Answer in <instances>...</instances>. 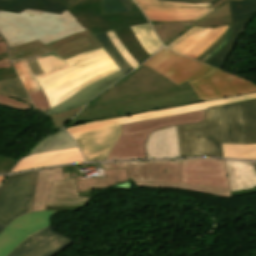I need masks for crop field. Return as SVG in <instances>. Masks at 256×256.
Wrapping results in <instances>:
<instances>
[{"label":"crop field","mask_w":256,"mask_h":256,"mask_svg":"<svg viewBox=\"0 0 256 256\" xmlns=\"http://www.w3.org/2000/svg\"><path fill=\"white\" fill-rule=\"evenodd\" d=\"M5 228V226L0 224V232Z\"/></svg>","instance_id":"crop-field-57"},{"label":"crop field","mask_w":256,"mask_h":256,"mask_svg":"<svg viewBox=\"0 0 256 256\" xmlns=\"http://www.w3.org/2000/svg\"><path fill=\"white\" fill-rule=\"evenodd\" d=\"M80 161L84 159L78 148L24 156L12 172Z\"/></svg>","instance_id":"crop-field-17"},{"label":"crop field","mask_w":256,"mask_h":256,"mask_svg":"<svg viewBox=\"0 0 256 256\" xmlns=\"http://www.w3.org/2000/svg\"><path fill=\"white\" fill-rule=\"evenodd\" d=\"M35 61L37 62L43 73L66 64L63 59H61L54 53H49L41 57L35 58Z\"/></svg>","instance_id":"crop-field-39"},{"label":"crop field","mask_w":256,"mask_h":256,"mask_svg":"<svg viewBox=\"0 0 256 256\" xmlns=\"http://www.w3.org/2000/svg\"><path fill=\"white\" fill-rule=\"evenodd\" d=\"M13 66L8 58V49L5 40L0 41V69Z\"/></svg>","instance_id":"crop-field-47"},{"label":"crop field","mask_w":256,"mask_h":256,"mask_svg":"<svg viewBox=\"0 0 256 256\" xmlns=\"http://www.w3.org/2000/svg\"><path fill=\"white\" fill-rule=\"evenodd\" d=\"M33 75H38V74H42V71L40 70V68L38 67V65L36 64V62L34 61V59H30V60H26Z\"/></svg>","instance_id":"crop-field-50"},{"label":"crop field","mask_w":256,"mask_h":256,"mask_svg":"<svg viewBox=\"0 0 256 256\" xmlns=\"http://www.w3.org/2000/svg\"><path fill=\"white\" fill-rule=\"evenodd\" d=\"M232 38L227 46L207 62V64L222 69L235 42L242 35L253 15L256 13V0L231 1Z\"/></svg>","instance_id":"crop-field-14"},{"label":"crop field","mask_w":256,"mask_h":256,"mask_svg":"<svg viewBox=\"0 0 256 256\" xmlns=\"http://www.w3.org/2000/svg\"><path fill=\"white\" fill-rule=\"evenodd\" d=\"M86 30L66 10L60 15L30 10L20 14L0 12V32L9 48L36 39L46 45Z\"/></svg>","instance_id":"crop-field-4"},{"label":"crop field","mask_w":256,"mask_h":256,"mask_svg":"<svg viewBox=\"0 0 256 256\" xmlns=\"http://www.w3.org/2000/svg\"><path fill=\"white\" fill-rule=\"evenodd\" d=\"M62 179L61 167L39 171L32 212L45 210L51 182Z\"/></svg>","instance_id":"crop-field-23"},{"label":"crop field","mask_w":256,"mask_h":256,"mask_svg":"<svg viewBox=\"0 0 256 256\" xmlns=\"http://www.w3.org/2000/svg\"><path fill=\"white\" fill-rule=\"evenodd\" d=\"M28 94L36 109L42 110L44 112L50 110V106L42 90L30 92Z\"/></svg>","instance_id":"crop-field-44"},{"label":"crop field","mask_w":256,"mask_h":256,"mask_svg":"<svg viewBox=\"0 0 256 256\" xmlns=\"http://www.w3.org/2000/svg\"><path fill=\"white\" fill-rule=\"evenodd\" d=\"M148 158L179 157L176 126L152 133L146 143Z\"/></svg>","instance_id":"crop-field-19"},{"label":"crop field","mask_w":256,"mask_h":256,"mask_svg":"<svg viewBox=\"0 0 256 256\" xmlns=\"http://www.w3.org/2000/svg\"><path fill=\"white\" fill-rule=\"evenodd\" d=\"M13 65L23 83V85L25 86L27 92H30V91H34V90H39L40 87L38 86V84L36 83L35 80L41 78V77H44L48 74H51L55 71H58L62 68H65L67 66H69L68 64L64 65V66H61L59 68H56L50 72H47L45 74H42V75H38V76H35L33 77L27 63L25 60H18V61H14L13 62Z\"/></svg>","instance_id":"crop-field-32"},{"label":"crop field","mask_w":256,"mask_h":256,"mask_svg":"<svg viewBox=\"0 0 256 256\" xmlns=\"http://www.w3.org/2000/svg\"><path fill=\"white\" fill-rule=\"evenodd\" d=\"M150 22H171L199 20L213 9L180 8L138 4Z\"/></svg>","instance_id":"crop-field-16"},{"label":"crop field","mask_w":256,"mask_h":256,"mask_svg":"<svg viewBox=\"0 0 256 256\" xmlns=\"http://www.w3.org/2000/svg\"><path fill=\"white\" fill-rule=\"evenodd\" d=\"M38 171L10 175L0 186V223L7 226L14 218L29 213Z\"/></svg>","instance_id":"crop-field-8"},{"label":"crop field","mask_w":256,"mask_h":256,"mask_svg":"<svg viewBox=\"0 0 256 256\" xmlns=\"http://www.w3.org/2000/svg\"><path fill=\"white\" fill-rule=\"evenodd\" d=\"M6 176H0V183L3 181V179L5 178Z\"/></svg>","instance_id":"crop-field-56"},{"label":"crop field","mask_w":256,"mask_h":256,"mask_svg":"<svg viewBox=\"0 0 256 256\" xmlns=\"http://www.w3.org/2000/svg\"><path fill=\"white\" fill-rule=\"evenodd\" d=\"M48 52L52 51L36 40L29 44L10 49V59L11 61L18 59H29Z\"/></svg>","instance_id":"crop-field-34"},{"label":"crop field","mask_w":256,"mask_h":256,"mask_svg":"<svg viewBox=\"0 0 256 256\" xmlns=\"http://www.w3.org/2000/svg\"><path fill=\"white\" fill-rule=\"evenodd\" d=\"M197 21L191 22H171V23H151L153 29L161 39L164 46L169 44L181 33L194 26ZM182 35V34H181Z\"/></svg>","instance_id":"crop-field-29"},{"label":"crop field","mask_w":256,"mask_h":256,"mask_svg":"<svg viewBox=\"0 0 256 256\" xmlns=\"http://www.w3.org/2000/svg\"><path fill=\"white\" fill-rule=\"evenodd\" d=\"M59 211H43L23 215L0 233V256H7L31 233L50 224L49 219Z\"/></svg>","instance_id":"crop-field-11"},{"label":"crop field","mask_w":256,"mask_h":256,"mask_svg":"<svg viewBox=\"0 0 256 256\" xmlns=\"http://www.w3.org/2000/svg\"><path fill=\"white\" fill-rule=\"evenodd\" d=\"M102 166L104 168H122V167H126L125 166V162H120V163H105L102 164Z\"/></svg>","instance_id":"crop-field-53"},{"label":"crop field","mask_w":256,"mask_h":256,"mask_svg":"<svg viewBox=\"0 0 256 256\" xmlns=\"http://www.w3.org/2000/svg\"><path fill=\"white\" fill-rule=\"evenodd\" d=\"M182 184L205 185L229 189L223 160H180Z\"/></svg>","instance_id":"crop-field-10"},{"label":"crop field","mask_w":256,"mask_h":256,"mask_svg":"<svg viewBox=\"0 0 256 256\" xmlns=\"http://www.w3.org/2000/svg\"><path fill=\"white\" fill-rule=\"evenodd\" d=\"M131 29L150 56L163 48V45L157 39L149 23L132 26Z\"/></svg>","instance_id":"crop-field-31"},{"label":"crop field","mask_w":256,"mask_h":256,"mask_svg":"<svg viewBox=\"0 0 256 256\" xmlns=\"http://www.w3.org/2000/svg\"><path fill=\"white\" fill-rule=\"evenodd\" d=\"M125 76L121 71L108 75L98 81H95L81 91L76 93L71 98L65 100L63 103L56 105L51 108V111L46 112L49 114L61 113L78 106L84 105L94 98L97 94L102 92L104 89L115 83L117 80Z\"/></svg>","instance_id":"crop-field-18"},{"label":"crop field","mask_w":256,"mask_h":256,"mask_svg":"<svg viewBox=\"0 0 256 256\" xmlns=\"http://www.w3.org/2000/svg\"><path fill=\"white\" fill-rule=\"evenodd\" d=\"M17 160L0 155V173H9Z\"/></svg>","instance_id":"crop-field-48"},{"label":"crop field","mask_w":256,"mask_h":256,"mask_svg":"<svg viewBox=\"0 0 256 256\" xmlns=\"http://www.w3.org/2000/svg\"><path fill=\"white\" fill-rule=\"evenodd\" d=\"M241 105L246 144H256V100L242 102Z\"/></svg>","instance_id":"crop-field-30"},{"label":"crop field","mask_w":256,"mask_h":256,"mask_svg":"<svg viewBox=\"0 0 256 256\" xmlns=\"http://www.w3.org/2000/svg\"><path fill=\"white\" fill-rule=\"evenodd\" d=\"M66 8L52 0H0V11L19 13L25 9L60 14Z\"/></svg>","instance_id":"crop-field-22"},{"label":"crop field","mask_w":256,"mask_h":256,"mask_svg":"<svg viewBox=\"0 0 256 256\" xmlns=\"http://www.w3.org/2000/svg\"><path fill=\"white\" fill-rule=\"evenodd\" d=\"M206 28L194 26L188 32L183 34L181 37L170 43L167 47L175 52H179L191 41H193L197 36H199Z\"/></svg>","instance_id":"crop-field-38"},{"label":"crop field","mask_w":256,"mask_h":256,"mask_svg":"<svg viewBox=\"0 0 256 256\" xmlns=\"http://www.w3.org/2000/svg\"><path fill=\"white\" fill-rule=\"evenodd\" d=\"M150 183L181 184L179 160L150 161Z\"/></svg>","instance_id":"crop-field-24"},{"label":"crop field","mask_w":256,"mask_h":256,"mask_svg":"<svg viewBox=\"0 0 256 256\" xmlns=\"http://www.w3.org/2000/svg\"><path fill=\"white\" fill-rule=\"evenodd\" d=\"M103 171L106 174V177L101 179L96 177L85 180H81L82 177L76 178L79 192L101 189L116 184V182L128 180L125 169H110ZM103 181H105V183H103ZM85 183H87V185H85Z\"/></svg>","instance_id":"crop-field-25"},{"label":"crop field","mask_w":256,"mask_h":256,"mask_svg":"<svg viewBox=\"0 0 256 256\" xmlns=\"http://www.w3.org/2000/svg\"><path fill=\"white\" fill-rule=\"evenodd\" d=\"M17 76L13 67L0 70V79Z\"/></svg>","instance_id":"crop-field-49"},{"label":"crop field","mask_w":256,"mask_h":256,"mask_svg":"<svg viewBox=\"0 0 256 256\" xmlns=\"http://www.w3.org/2000/svg\"><path fill=\"white\" fill-rule=\"evenodd\" d=\"M209 7L216 9L204 18H202L201 20H199L196 23L197 26L210 28L231 23L228 0H217L214 4H212Z\"/></svg>","instance_id":"crop-field-28"},{"label":"crop field","mask_w":256,"mask_h":256,"mask_svg":"<svg viewBox=\"0 0 256 256\" xmlns=\"http://www.w3.org/2000/svg\"><path fill=\"white\" fill-rule=\"evenodd\" d=\"M180 157H223L222 143L245 144L240 103L207 110L204 122L177 126Z\"/></svg>","instance_id":"crop-field-3"},{"label":"crop field","mask_w":256,"mask_h":256,"mask_svg":"<svg viewBox=\"0 0 256 256\" xmlns=\"http://www.w3.org/2000/svg\"><path fill=\"white\" fill-rule=\"evenodd\" d=\"M0 105L18 109V110L33 109L32 106H30L20 100H17L15 98H11V97L2 96V95H0Z\"/></svg>","instance_id":"crop-field-45"},{"label":"crop field","mask_w":256,"mask_h":256,"mask_svg":"<svg viewBox=\"0 0 256 256\" xmlns=\"http://www.w3.org/2000/svg\"><path fill=\"white\" fill-rule=\"evenodd\" d=\"M65 61L71 66L37 80L49 102L87 79L116 67L103 48L73 56Z\"/></svg>","instance_id":"crop-field-6"},{"label":"crop field","mask_w":256,"mask_h":256,"mask_svg":"<svg viewBox=\"0 0 256 256\" xmlns=\"http://www.w3.org/2000/svg\"><path fill=\"white\" fill-rule=\"evenodd\" d=\"M108 36L114 43V45L117 47V49L120 51V53L123 55V57L127 60V62L132 66L134 69L139 64L136 62V60L126 51V49L123 47L113 30L107 31Z\"/></svg>","instance_id":"crop-field-43"},{"label":"crop field","mask_w":256,"mask_h":256,"mask_svg":"<svg viewBox=\"0 0 256 256\" xmlns=\"http://www.w3.org/2000/svg\"><path fill=\"white\" fill-rule=\"evenodd\" d=\"M62 169H63V172H64V177H65V179H69L70 176H69L68 170H74L73 166H71V167H65V168H62Z\"/></svg>","instance_id":"crop-field-55"},{"label":"crop field","mask_w":256,"mask_h":256,"mask_svg":"<svg viewBox=\"0 0 256 256\" xmlns=\"http://www.w3.org/2000/svg\"><path fill=\"white\" fill-rule=\"evenodd\" d=\"M163 1L207 4V3H213V2L216 1V0H163Z\"/></svg>","instance_id":"crop-field-51"},{"label":"crop field","mask_w":256,"mask_h":256,"mask_svg":"<svg viewBox=\"0 0 256 256\" xmlns=\"http://www.w3.org/2000/svg\"><path fill=\"white\" fill-rule=\"evenodd\" d=\"M117 70H119L118 67H116V68H114V69H112V70H109V71H107V72H105V73H103V74H100V75H98V76H96V77H94V78H92V79H90V80H88V81H86V82L80 84L79 86H77V87L73 88L72 90H70L68 93H66V94H65L64 96H62L61 98H59V99H57V100H55V101H53V102H50V105L53 106V105H56V104L61 103V102L64 101L65 99H67V98L71 97L72 95H74L76 92H78L80 89H82V88H83L84 86H86L87 84H89V83H91V82H93V81H95V80H97V79H100V78H102V77H104V76H106V75H108V74H111V73H113V72H115V71H117ZM87 86H88V85H87Z\"/></svg>","instance_id":"crop-field-42"},{"label":"crop field","mask_w":256,"mask_h":256,"mask_svg":"<svg viewBox=\"0 0 256 256\" xmlns=\"http://www.w3.org/2000/svg\"><path fill=\"white\" fill-rule=\"evenodd\" d=\"M231 26L232 24H230L229 28L205 52L196 58V60L206 63L214 54L225 47L231 37Z\"/></svg>","instance_id":"crop-field-37"},{"label":"crop field","mask_w":256,"mask_h":256,"mask_svg":"<svg viewBox=\"0 0 256 256\" xmlns=\"http://www.w3.org/2000/svg\"><path fill=\"white\" fill-rule=\"evenodd\" d=\"M224 157L256 159V145L223 144Z\"/></svg>","instance_id":"crop-field-36"},{"label":"crop field","mask_w":256,"mask_h":256,"mask_svg":"<svg viewBox=\"0 0 256 256\" xmlns=\"http://www.w3.org/2000/svg\"><path fill=\"white\" fill-rule=\"evenodd\" d=\"M129 179L139 187L165 188L189 190L198 193L222 196L231 198L230 190L204 187V186H185V185H167V184H149L150 167L149 161L144 162H126Z\"/></svg>","instance_id":"crop-field-15"},{"label":"crop field","mask_w":256,"mask_h":256,"mask_svg":"<svg viewBox=\"0 0 256 256\" xmlns=\"http://www.w3.org/2000/svg\"><path fill=\"white\" fill-rule=\"evenodd\" d=\"M92 199L78 197L74 179L51 184L47 206L86 205Z\"/></svg>","instance_id":"crop-field-21"},{"label":"crop field","mask_w":256,"mask_h":256,"mask_svg":"<svg viewBox=\"0 0 256 256\" xmlns=\"http://www.w3.org/2000/svg\"><path fill=\"white\" fill-rule=\"evenodd\" d=\"M0 40H3V37H2V36L0 37Z\"/></svg>","instance_id":"crop-field-58"},{"label":"crop field","mask_w":256,"mask_h":256,"mask_svg":"<svg viewBox=\"0 0 256 256\" xmlns=\"http://www.w3.org/2000/svg\"><path fill=\"white\" fill-rule=\"evenodd\" d=\"M188 82L179 87L154 71L138 67L99 95L70 121L78 124L198 102Z\"/></svg>","instance_id":"crop-field-1"},{"label":"crop field","mask_w":256,"mask_h":256,"mask_svg":"<svg viewBox=\"0 0 256 256\" xmlns=\"http://www.w3.org/2000/svg\"><path fill=\"white\" fill-rule=\"evenodd\" d=\"M255 98H256V93H250L245 95L223 98L219 100L206 101L202 103L199 102V103L182 105V106H177V107L163 109V110L139 113V114H134V115L125 116V117L86 123V124L78 125L75 127L67 128L66 130H68L70 134H72V133H77V132H82V131H87L92 129L104 128V127L113 126L117 124L141 121V120L162 117L167 115L182 114V113L196 111L200 109H207V107H212L214 105L227 104L231 102L250 100Z\"/></svg>","instance_id":"crop-field-9"},{"label":"crop field","mask_w":256,"mask_h":256,"mask_svg":"<svg viewBox=\"0 0 256 256\" xmlns=\"http://www.w3.org/2000/svg\"><path fill=\"white\" fill-rule=\"evenodd\" d=\"M104 13L131 11L128 0H101Z\"/></svg>","instance_id":"crop-field-40"},{"label":"crop field","mask_w":256,"mask_h":256,"mask_svg":"<svg viewBox=\"0 0 256 256\" xmlns=\"http://www.w3.org/2000/svg\"><path fill=\"white\" fill-rule=\"evenodd\" d=\"M77 147L66 131L60 130L36 144L26 155Z\"/></svg>","instance_id":"crop-field-26"},{"label":"crop field","mask_w":256,"mask_h":256,"mask_svg":"<svg viewBox=\"0 0 256 256\" xmlns=\"http://www.w3.org/2000/svg\"><path fill=\"white\" fill-rule=\"evenodd\" d=\"M119 125L71 135L81 149L86 161H102L119 137Z\"/></svg>","instance_id":"crop-field-13"},{"label":"crop field","mask_w":256,"mask_h":256,"mask_svg":"<svg viewBox=\"0 0 256 256\" xmlns=\"http://www.w3.org/2000/svg\"><path fill=\"white\" fill-rule=\"evenodd\" d=\"M136 3L143 4H156V5H168V6H180V7H208V5H199V4H182V3H172V2H162L157 0H134Z\"/></svg>","instance_id":"crop-field-46"},{"label":"crop field","mask_w":256,"mask_h":256,"mask_svg":"<svg viewBox=\"0 0 256 256\" xmlns=\"http://www.w3.org/2000/svg\"><path fill=\"white\" fill-rule=\"evenodd\" d=\"M205 110L182 115L167 116L141 122L121 125L122 134L116 141L106 160L146 159L144 144L147 136L170 125L199 122L204 119Z\"/></svg>","instance_id":"crop-field-7"},{"label":"crop field","mask_w":256,"mask_h":256,"mask_svg":"<svg viewBox=\"0 0 256 256\" xmlns=\"http://www.w3.org/2000/svg\"><path fill=\"white\" fill-rule=\"evenodd\" d=\"M95 39L100 43V45L105 49L111 59L114 60L116 65L122 70V72L126 75L128 72L133 70L131 66L126 62V60L122 57L116 47L113 45L106 32L97 35L93 34Z\"/></svg>","instance_id":"crop-field-33"},{"label":"crop field","mask_w":256,"mask_h":256,"mask_svg":"<svg viewBox=\"0 0 256 256\" xmlns=\"http://www.w3.org/2000/svg\"><path fill=\"white\" fill-rule=\"evenodd\" d=\"M71 243L49 225L31 234L8 256H55Z\"/></svg>","instance_id":"crop-field-12"},{"label":"crop field","mask_w":256,"mask_h":256,"mask_svg":"<svg viewBox=\"0 0 256 256\" xmlns=\"http://www.w3.org/2000/svg\"><path fill=\"white\" fill-rule=\"evenodd\" d=\"M54 1H56V0H54ZM58 1H60L61 3L65 4L66 6L69 7V6L79 2L81 0H58Z\"/></svg>","instance_id":"crop-field-54"},{"label":"crop field","mask_w":256,"mask_h":256,"mask_svg":"<svg viewBox=\"0 0 256 256\" xmlns=\"http://www.w3.org/2000/svg\"><path fill=\"white\" fill-rule=\"evenodd\" d=\"M46 46L63 59L79 53L101 48L89 31L74 34Z\"/></svg>","instance_id":"crop-field-20"},{"label":"crop field","mask_w":256,"mask_h":256,"mask_svg":"<svg viewBox=\"0 0 256 256\" xmlns=\"http://www.w3.org/2000/svg\"><path fill=\"white\" fill-rule=\"evenodd\" d=\"M0 94L12 96L31 104L18 77L0 80Z\"/></svg>","instance_id":"crop-field-35"},{"label":"crop field","mask_w":256,"mask_h":256,"mask_svg":"<svg viewBox=\"0 0 256 256\" xmlns=\"http://www.w3.org/2000/svg\"><path fill=\"white\" fill-rule=\"evenodd\" d=\"M82 206H70V207H47L46 210H59V211H75Z\"/></svg>","instance_id":"crop-field-52"},{"label":"crop field","mask_w":256,"mask_h":256,"mask_svg":"<svg viewBox=\"0 0 256 256\" xmlns=\"http://www.w3.org/2000/svg\"><path fill=\"white\" fill-rule=\"evenodd\" d=\"M82 108L83 106L61 114L49 115L52 120L54 130L60 129L71 117L76 115Z\"/></svg>","instance_id":"crop-field-41"},{"label":"crop field","mask_w":256,"mask_h":256,"mask_svg":"<svg viewBox=\"0 0 256 256\" xmlns=\"http://www.w3.org/2000/svg\"><path fill=\"white\" fill-rule=\"evenodd\" d=\"M132 12L104 14L100 0H83L66 9L91 34L113 29L127 51L141 64L150 56L145 52L129 26L147 23L148 20L136 6Z\"/></svg>","instance_id":"crop-field-5"},{"label":"crop field","mask_w":256,"mask_h":256,"mask_svg":"<svg viewBox=\"0 0 256 256\" xmlns=\"http://www.w3.org/2000/svg\"><path fill=\"white\" fill-rule=\"evenodd\" d=\"M227 28L228 25L217 28H207L199 37H197L179 53L195 59L204 50H206Z\"/></svg>","instance_id":"crop-field-27"},{"label":"crop field","mask_w":256,"mask_h":256,"mask_svg":"<svg viewBox=\"0 0 256 256\" xmlns=\"http://www.w3.org/2000/svg\"><path fill=\"white\" fill-rule=\"evenodd\" d=\"M141 66L153 69L178 86L188 81L200 101L256 92V85L249 81L182 57L165 48Z\"/></svg>","instance_id":"crop-field-2"}]
</instances>
